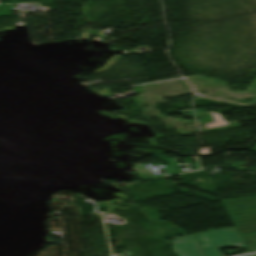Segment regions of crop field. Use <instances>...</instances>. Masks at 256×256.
I'll return each instance as SVG.
<instances>
[{
    "label": "crop field",
    "instance_id": "412701ff",
    "mask_svg": "<svg viewBox=\"0 0 256 256\" xmlns=\"http://www.w3.org/2000/svg\"><path fill=\"white\" fill-rule=\"evenodd\" d=\"M253 256H256V254H254Z\"/></svg>",
    "mask_w": 256,
    "mask_h": 256
},
{
    "label": "crop field",
    "instance_id": "8a807250",
    "mask_svg": "<svg viewBox=\"0 0 256 256\" xmlns=\"http://www.w3.org/2000/svg\"><path fill=\"white\" fill-rule=\"evenodd\" d=\"M206 256H223L220 247H245L234 228L196 234Z\"/></svg>",
    "mask_w": 256,
    "mask_h": 256
},
{
    "label": "crop field",
    "instance_id": "ac0d7876",
    "mask_svg": "<svg viewBox=\"0 0 256 256\" xmlns=\"http://www.w3.org/2000/svg\"><path fill=\"white\" fill-rule=\"evenodd\" d=\"M172 248L178 256H204L194 235L174 239Z\"/></svg>",
    "mask_w": 256,
    "mask_h": 256
},
{
    "label": "crop field",
    "instance_id": "34b2d1b8",
    "mask_svg": "<svg viewBox=\"0 0 256 256\" xmlns=\"http://www.w3.org/2000/svg\"><path fill=\"white\" fill-rule=\"evenodd\" d=\"M249 151H256V145L253 147V148H251V149H248Z\"/></svg>",
    "mask_w": 256,
    "mask_h": 256
},
{
    "label": "crop field",
    "instance_id": "f4fd0767",
    "mask_svg": "<svg viewBox=\"0 0 256 256\" xmlns=\"http://www.w3.org/2000/svg\"><path fill=\"white\" fill-rule=\"evenodd\" d=\"M245 256H250V255H245Z\"/></svg>",
    "mask_w": 256,
    "mask_h": 256
}]
</instances>
